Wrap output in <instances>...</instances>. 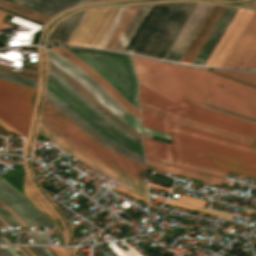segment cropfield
Instances as JSON below:
<instances>
[{
    "instance_id": "obj_34",
    "label": "crop field",
    "mask_w": 256,
    "mask_h": 256,
    "mask_svg": "<svg viewBox=\"0 0 256 256\" xmlns=\"http://www.w3.org/2000/svg\"><path fill=\"white\" fill-rule=\"evenodd\" d=\"M140 108L142 111H145L147 113H150V114H153V115H156V116H159V117H162V118H165L167 120H170V116L165 114V113H162L160 111H157V110H154L152 108H149L143 104L140 103ZM171 121V120H170Z\"/></svg>"
},
{
    "instance_id": "obj_49",
    "label": "crop field",
    "mask_w": 256,
    "mask_h": 256,
    "mask_svg": "<svg viewBox=\"0 0 256 256\" xmlns=\"http://www.w3.org/2000/svg\"><path fill=\"white\" fill-rule=\"evenodd\" d=\"M67 1H70V2L75 3V4L87 2L86 0H67Z\"/></svg>"
},
{
    "instance_id": "obj_37",
    "label": "crop field",
    "mask_w": 256,
    "mask_h": 256,
    "mask_svg": "<svg viewBox=\"0 0 256 256\" xmlns=\"http://www.w3.org/2000/svg\"><path fill=\"white\" fill-rule=\"evenodd\" d=\"M142 132L147 133V134H151V135H155V136L160 137V138H166V139H169V140L171 139L169 134H164L162 132L147 129V128H143V127H142Z\"/></svg>"
},
{
    "instance_id": "obj_36",
    "label": "crop field",
    "mask_w": 256,
    "mask_h": 256,
    "mask_svg": "<svg viewBox=\"0 0 256 256\" xmlns=\"http://www.w3.org/2000/svg\"><path fill=\"white\" fill-rule=\"evenodd\" d=\"M134 8V6H130L129 10L127 11L126 15L124 16L123 20L121 21L120 25L118 26V28L116 29L115 33L113 34L112 38L110 39L109 43L107 44L106 48H109V46L111 45L112 41L114 40V38L116 37L117 33L119 32V30L121 29L122 25L124 24V22L126 21L127 17L129 16V14L131 13L132 9Z\"/></svg>"
},
{
    "instance_id": "obj_29",
    "label": "crop field",
    "mask_w": 256,
    "mask_h": 256,
    "mask_svg": "<svg viewBox=\"0 0 256 256\" xmlns=\"http://www.w3.org/2000/svg\"><path fill=\"white\" fill-rule=\"evenodd\" d=\"M167 203L172 204V205H176V206H180V207H184V208H188V209H192V210H195V211L203 212V213H206V214L214 215V216L219 215V216H223V217L230 218V219L232 217L230 215L200 209V208H197V207H193V206H190V205L182 204V203L171 201V200H168Z\"/></svg>"
},
{
    "instance_id": "obj_45",
    "label": "crop field",
    "mask_w": 256,
    "mask_h": 256,
    "mask_svg": "<svg viewBox=\"0 0 256 256\" xmlns=\"http://www.w3.org/2000/svg\"><path fill=\"white\" fill-rule=\"evenodd\" d=\"M139 102H141V103H143V104H145V105H147V106H149V107H152V108H155V109H157V110H160V111H162V112H165V113H167V114H171L170 112H167V111H164V110H162V109H160V108H158V107H155V106H153V105H151V104H149V103H147V102H145V101H143V100H141V99H139Z\"/></svg>"
},
{
    "instance_id": "obj_58",
    "label": "crop field",
    "mask_w": 256,
    "mask_h": 256,
    "mask_svg": "<svg viewBox=\"0 0 256 256\" xmlns=\"http://www.w3.org/2000/svg\"><path fill=\"white\" fill-rule=\"evenodd\" d=\"M252 145H256V140L254 139L252 142H251Z\"/></svg>"
},
{
    "instance_id": "obj_1",
    "label": "crop field",
    "mask_w": 256,
    "mask_h": 256,
    "mask_svg": "<svg viewBox=\"0 0 256 256\" xmlns=\"http://www.w3.org/2000/svg\"><path fill=\"white\" fill-rule=\"evenodd\" d=\"M142 112V111H141ZM143 127L159 130L172 135L171 145L143 137L144 152L147 155L164 159H178L230 172L250 178H256V154L236 150L186 135L174 133L171 127L195 132L214 139L250 147L248 144L196 130L166 121L142 112Z\"/></svg>"
},
{
    "instance_id": "obj_60",
    "label": "crop field",
    "mask_w": 256,
    "mask_h": 256,
    "mask_svg": "<svg viewBox=\"0 0 256 256\" xmlns=\"http://www.w3.org/2000/svg\"><path fill=\"white\" fill-rule=\"evenodd\" d=\"M3 228L1 225H0V229Z\"/></svg>"
},
{
    "instance_id": "obj_62",
    "label": "crop field",
    "mask_w": 256,
    "mask_h": 256,
    "mask_svg": "<svg viewBox=\"0 0 256 256\" xmlns=\"http://www.w3.org/2000/svg\"><path fill=\"white\" fill-rule=\"evenodd\" d=\"M88 1H90V0H88Z\"/></svg>"
},
{
    "instance_id": "obj_31",
    "label": "crop field",
    "mask_w": 256,
    "mask_h": 256,
    "mask_svg": "<svg viewBox=\"0 0 256 256\" xmlns=\"http://www.w3.org/2000/svg\"><path fill=\"white\" fill-rule=\"evenodd\" d=\"M0 217L9 225L22 226L7 210L0 205Z\"/></svg>"
},
{
    "instance_id": "obj_28",
    "label": "crop field",
    "mask_w": 256,
    "mask_h": 256,
    "mask_svg": "<svg viewBox=\"0 0 256 256\" xmlns=\"http://www.w3.org/2000/svg\"><path fill=\"white\" fill-rule=\"evenodd\" d=\"M171 117H172V118L179 119V120H182V121H186V122H189V123H192V124H196V125H199V126H202V127H206V128L212 129V130H216V131H219V132H222V133H226V134H229V135H232V136H236V137H239V138H242V139H246V140L252 141V138H248V137L241 136V135H238V134H235V133H231V132H228V131H224V130H221V129H217V128H214V127H211V126H207V125H204V124H200V123L191 121V120H189V119H186V118H183V117H180V116H177V115H173V114H172Z\"/></svg>"
},
{
    "instance_id": "obj_30",
    "label": "crop field",
    "mask_w": 256,
    "mask_h": 256,
    "mask_svg": "<svg viewBox=\"0 0 256 256\" xmlns=\"http://www.w3.org/2000/svg\"><path fill=\"white\" fill-rule=\"evenodd\" d=\"M62 49V48H61ZM63 51H65L67 54H69L70 56L74 57L75 59H77L80 63H82L85 67H87L88 69H90L98 78H100L105 84H107L114 92H116L124 101H126L107 81H105L99 74H97L91 67H89L86 63H84L82 60H80L79 58H77L75 55H73L72 53H70L68 50L66 49H62ZM129 105H131L133 108H135L137 111H139V109H137L136 107H134L132 104H130L128 101H126ZM140 112V111H139Z\"/></svg>"
},
{
    "instance_id": "obj_9",
    "label": "crop field",
    "mask_w": 256,
    "mask_h": 256,
    "mask_svg": "<svg viewBox=\"0 0 256 256\" xmlns=\"http://www.w3.org/2000/svg\"><path fill=\"white\" fill-rule=\"evenodd\" d=\"M48 62L59 67L73 77L76 81L82 84L96 99H98L104 106H106L112 113H114L121 121L128 126L139 130L141 120L134 117L125 111L122 107L116 104L112 98L100 88L88 75L82 70L74 66L62 56L48 50ZM107 102L108 104L106 105Z\"/></svg>"
},
{
    "instance_id": "obj_55",
    "label": "crop field",
    "mask_w": 256,
    "mask_h": 256,
    "mask_svg": "<svg viewBox=\"0 0 256 256\" xmlns=\"http://www.w3.org/2000/svg\"><path fill=\"white\" fill-rule=\"evenodd\" d=\"M155 200H158V201H164V198H161V197H158V196H156V198H155Z\"/></svg>"
},
{
    "instance_id": "obj_38",
    "label": "crop field",
    "mask_w": 256,
    "mask_h": 256,
    "mask_svg": "<svg viewBox=\"0 0 256 256\" xmlns=\"http://www.w3.org/2000/svg\"><path fill=\"white\" fill-rule=\"evenodd\" d=\"M40 256H52L44 247L30 246Z\"/></svg>"
},
{
    "instance_id": "obj_47",
    "label": "crop field",
    "mask_w": 256,
    "mask_h": 256,
    "mask_svg": "<svg viewBox=\"0 0 256 256\" xmlns=\"http://www.w3.org/2000/svg\"><path fill=\"white\" fill-rule=\"evenodd\" d=\"M5 15H6V13H3V12L0 11V22L2 21V18H3ZM6 26H7L6 24L0 23V30H4Z\"/></svg>"
},
{
    "instance_id": "obj_44",
    "label": "crop field",
    "mask_w": 256,
    "mask_h": 256,
    "mask_svg": "<svg viewBox=\"0 0 256 256\" xmlns=\"http://www.w3.org/2000/svg\"><path fill=\"white\" fill-rule=\"evenodd\" d=\"M247 67H249V68H256V52L253 55V57L250 60V62L248 63Z\"/></svg>"
},
{
    "instance_id": "obj_27",
    "label": "crop field",
    "mask_w": 256,
    "mask_h": 256,
    "mask_svg": "<svg viewBox=\"0 0 256 256\" xmlns=\"http://www.w3.org/2000/svg\"><path fill=\"white\" fill-rule=\"evenodd\" d=\"M173 131L178 132V133H182V134H186V135H190V136H194V137H197V138H201V139H204V140H207V141H211V142H214V143L222 144V145H225V146L233 147V148H236V149H240V150L256 153L255 150H251V149L240 147V146H237V145H234V144H230V143L214 140V139H211V138H208V137H204V136H201V135H198V134H195V133L186 132V131H180V130H174V129H173Z\"/></svg>"
},
{
    "instance_id": "obj_59",
    "label": "crop field",
    "mask_w": 256,
    "mask_h": 256,
    "mask_svg": "<svg viewBox=\"0 0 256 256\" xmlns=\"http://www.w3.org/2000/svg\"><path fill=\"white\" fill-rule=\"evenodd\" d=\"M0 243H4V242L0 239Z\"/></svg>"
},
{
    "instance_id": "obj_15",
    "label": "crop field",
    "mask_w": 256,
    "mask_h": 256,
    "mask_svg": "<svg viewBox=\"0 0 256 256\" xmlns=\"http://www.w3.org/2000/svg\"><path fill=\"white\" fill-rule=\"evenodd\" d=\"M224 8L225 7L213 5L200 29L196 33L195 37L193 38L192 42L190 43L189 47L181 58V62L191 63L199 48L203 44L204 40L208 36L209 32L213 28L214 24L218 20L219 16L223 12ZM204 35L206 36L204 37Z\"/></svg>"
},
{
    "instance_id": "obj_13",
    "label": "crop field",
    "mask_w": 256,
    "mask_h": 256,
    "mask_svg": "<svg viewBox=\"0 0 256 256\" xmlns=\"http://www.w3.org/2000/svg\"><path fill=\"white\" fill-rule=\"evenodd\" d=\"M47 83L54 87L57 91L63 94L67 99H69L73 104H75L79 109H81L85 114H87L91 119H93L97 124H99L108 133L119 139L120 141L142 151V145L129 139L112 126H110L106 121H104L99 115H97L91 108H89L84 102H82L76 95H74L65 86L59 83L51 75L48 74ZM92 120V121H93ZM143 152V151H142Z\"/></svg>"
},
{
    "instance_id": "obj_16",
    "label": "crop field",
    "mask_w": 256,
    "mask_h": 256,
    "mask_svg": "<svg viewBox=\"0 0 256 256\" xmlns=\"http://www.w3.org/2000/svg\"><path fill=\"white\" fill-rule=\"evenodd\" d=\"M235 11L236 9L225 8L224 12L222 13L216 25L212 29L205 43L203 44L197 56L193 60L192 65H202L210 50L212 49L217 39L221 35L222 32L220 29L224 30V28L228 24L229 20L231 19Z\"/></svg>"
},
{
    "instance_id": "obj_53",
    "label": "crop field",
    "mask_w": 256,
    "mask_h": 256,
    "mask_svg": "<svg viewBox=\"0 0 256 256\" xmlns=\"http://www.w3.org/2000/svg\"><path fill=\"white\" fill-rule=\"evenodd\" d=\"M171 160H173V159H171ZM174 161H177V160H174ZM180 162H182V161H180ZM186 163H188V162H186ZM190 164H193V163H190ZM194 165H197V164H194ZM197 166H200V165H197ZM201 167H204V166H201ZM204 168H207V167H204ZM208 169H211V168H208ZM211 170H214V169H211ZM214 171H218V170H214ZM218 172H221V171H218ZM221 173H225V172H221Z\"/></svg>"
},
{
    "instance_id": "obj_57",
    "label": "crop field",
    "mask_w": 256,
    "mask_h": 256,
    "mask_svg": "<svg viewBox=\"0 0 256 256\" xmlns=\"http://www.w3.org/2000/svg\"><path fill=\"white\" fill-rule=\"evenodd\" d=\"M250 4H252L251 6H255L256 7V1H254V2H252ZM250 4H247V5H250Z\"/></svg>"
},
{
    "instance_id": "obj_20",
    "label": "crop field",
    "mask_w": 256,
    "mask_h": 256,
    "mask_svg": "<svg viewBox=\"0 0 256 256\" xmlns=\"http://www.w3.org/2000/svg\"><path fill=\"white\" fill-rule=\"evenodd\" d=\"M146 164L150 165L152 167H156V168H160V169H164V170L173 172V173L178 174V175L193 178V179H196V180H200V181L211 183V184L218 185V186H220V184L222 182V179H218V178L206 176V175H203V174L191 172V171H188V170H184V169H180V168H176V167L156 163V162H153V161H150V160H147V159H146Z\"/></svg>"
},
{
    "instance_id": "obj_46",
    "label": "crop field",
    "mask_w": 256,
    "mask_h": 256,
    "mask_svg": "<svg viewBox=\"0 0 256 256\" xmlns=\"http://www.w3.org/2000/svg\"><path fill=\"white\" fill-rule=\"evenodd\" d=\"M60 256H66V251L63 248L52 247Z\"/></svg>"
},
{
    "instance_id": "obj_14",
    "label": "crop field",
    "mask_w": 256,
    "mask_h": 256,
    "mask_svg": "<svg viewBox=\"0 0 256 256\" xmlns=\"http://www.w3.org/2000/svg\"><path fill=\"white\" fill-rule=\"evenodd\" d=\"M133 63L136 75L138 77L139 82L143 83L150 89L154 90L164 98L176 102L180 96L184 95L178 90L174 89L168 83H166L163 79H161L158 75L152 72L147 66H145L138 58L133 57ZM153 91V92H154ZM186 96V95H184ZM188 97V96H186ZM190 98V97H188ZM192 99V98H190ZM194 100V99H192ZM196 101V100H194ZM198 102V101H196ZM201 103V102H198ZM203 104V103H202Z\"/></svg>"
},
{
    "instance_id": "obj_61",
    "label": "crop field",
    "mask_w": 256,
    "mask_h": 256,
    "mask_svg": "<svg viewBox=\"0 0 256 256\" xmlns=\"http://www.w3.org/2000/svg\"><path fill=\"white\" fill-rule=\"evenodd\" d=\"M1 225H3L2 223H0Z\"/></svg>"
},
{
    "instance_id": "obj_5",
    "label": "crop field",
    "mask_w": 256,
    "mask_h": 256,
    "mask_svg": "<svg viewBox=\"0 0 256 256\" xmlns=\"http://www.w3.org/2000/svg\"><path fill=\"white\" fill-rule=\"evenodd\" d=\"M106 79L125 99L138 107L137 78L131 58L108 52L68 49Z\"/></svg>"
},
{
    "instance_id": "obj_48",
    "label": "crop field",
    "mask_w": 256,
    "mask_h": 256,
    "mask_svg": "<svg viewBox=\"0 0 256 256\" xmlns=\"http://www.w3.org/2000/svg\"><path fill=\"white\" fill-rule=\"evenodd\" d=\"M0 204L4 207V208H6L1 202H0ZM16 219H18L23 225H26L23 221H21L14 213H12L8 208H6Z\"/></svg>"
},
{
    "instance_id": "obj_43",
    "label": "crop field",
    "mask_w": 256,
    "mask_h": 256,
    "mask_svg": "<svg viewBox=\"0 0 256 256\" xmlns=\"http://www.w3.org/2000/svg\"><path fill=\"white\" fill-rule=\"evenodd\" d=\"M145 157L147 159H150V160H153V161H156V162H160V163H164V164L170 165V161H168V160L159 159V158H155V157H151V156H147V155H145Z\"/></svg>"
},
{
    "instance_id": "obj_6",
    "label": "crop field",
    "mask_w": 256,
    "mask_h": 256,
    "mask_svg": "<svg viewBox=\"0 0 256 256\" xmlns=\"http://www.w3.org/2000/svg\"><path fill=\"white\" fill-rule=\"evenodd\" d=\"M139 97L173 114L256 139V124L208 111L183 98L174 104L141 83Z\"/></svg>"
},
{
    "instance_id": "obj_19",
    "label": "crop field",
    "mask_w": 256,
    "mask_h": 256,
    "mask_svg": "<svg viewBox=\"0 0 256 256\" xmlns=\"http://www.w3.org/2000/svg\"><path fill=\"white\" fill-rule=\"evenodd\" d=\"M62 56H64L66 59L71 61L73 64H75L77 67L83 69L99 86H101L116 102H118L119 105H121L124 109H126L128 112L131 114L135 115L138 117V113L135 109H133L131 106H129L126 102H124L117 94H115L107 85H105L100 79H98L90 70L85 68L82 64H80L77 60L74 58L70 57L66 53H64L62 50L59 48H49Z\"/></svg>"
},
{
    "instance_id": "obj_11",
    "label": "crop field",
    "mask_w": 256,
    "mask_h": 256,
    "mask_svg": "<svg viewBox=\"0 0 256 256\" xmlns=\"http://www.w3.org/2000/svg\"><path fill=\"white\" fill-rule=\"evenodd\" d=\"M255 51L256 12H254L222 66L246 67ZM241 62L244 64L242 65Z\"/></svg>"
},
{
    "instance_id": "obj_32",
    "label": "crop field",
    "mask_w": 256,
    "mask_h": 256,
    "mask_svg": "<svg viewBox=\"0 0 256 256\" xmlns=\"http://www.w3.org/2000/svg\"><path fill=\"white\" fill-rule=\"evenodd\" d=\"M172 121L176 122V123H180V124L186 125V126H190V127L201 129V130H205V131H208V132H211V133H214V134H218V135H221V136H224V137L236 139V140H239V141H242V142L250 144V141H246V140H242V139H239V138H235V137H232V136H229V135H225V134H222V133H219V132H215V131H212V130H209V129H205V128H202V127H199V126H195V125H192V124H189V123H185V122H182V121H179V120L172 119Z\"/></svg>"
},
{
    "instance_id": "obj_8",
    "label": "crop field",
    "mask_w": 256,
    "mask_h": 256,
    "mask_svg": "<svg viewBox=\"0 0 256 256\" xmlns=\"http://www.w3.org/2000/svg\"><path fill=\"white\" fill-rule=\"evenodd\" d=\"M35 89L0 79V118L26 135Z\"/></svg>"
},
{
    "instance_id": "obj_50",
    "label": "crop field",
    "mask_w": 256,
    "mask_h": 256,
    "mask_svg": "<svg viewBox=\"0 0 256 256\" xmlns=\"http://www.w3.org/2000/svg\"><path fill=\"white\" fill-rule=\"evenodd\" d=\"M26 256H31L22 246H17Z\"/></svg>"
},
{
    "instance_id": "obj_35",
    "label": "crop field",
    "mask_w": 256,
    "mask_h": 256,
    "mask_svg": "<svg viewBox=\"0 0 256 256\" xmlns=\"http://www.w3.org/2000/svg\"><path fill=\"white\" fill-rule=\"evenodd\" d=\"M178 200L194 203L201 206H203L205 203V200H201V199H197V198H193V197H189L181 194L179 195Z\"/></svg>"
},
{
    "instance_id": "obj_10",
    "label": "crop field",
    "mask_w": 256,
    "mask_h": 256,
    "mask_svg": "<svg viewBox=\"0 0 256 256\" xmlns=\"http://www.w3.org/2000/svg\"><path fill=\"white\" fill-rule=\"evenodd\" d=\"M252 14L253 11L238 9L205 64H222Z\"/></svg>"
},
{
    "instance_id": "obj_7",
    "label": "crop field",
    "mask_w": 256,
    "mask_h": 256,
    "mask_svg": "<svg viewBox=\"0 0 256 256\" xmlns=\"http://www.w3.org/2000/svg\"><path fill=\"white\" fill-rule=\"evenodd\" d=\"M115 8H98L87 9L77 12L59 22L56 27L50 33L47 43L63 44L67 43H81L88 45H95L96 41L100 37L104 28L108 24L112 15L116 11Z\"/></svg>"
},
{
    "instance_id": "obj_25",
    "label": "crop field",
    "mask_w": 256,
    "mask_h": 256,
    "mask_svg": "<svg viewBox=\"0 0 256 256\" xmlns=\"http://www.w3.org/2000/svg\"><path fill=\"white\" fill-rule=\"evenodd\" d=\"M29 2L31 4L37 5L39 7L45 8L47 10L53 11L55 13L66 9L70 6H74L72 4L66 3L61 0H23Z\"/></svg>"
},
{
    "instance_id": "obj_56",
    "label": "crop field",
    "mask_w": 256,
    "mask_h": 256,
    "mask_svg": "<svg viewBox=\"0 0 256 256\" xmlns=\"http://www.w3.org/2000/svg\"><path fill=\"white\" fill-rule=\"evenodd\" d=\"M32 256H35L28 248H26L25 246H23Z\"/></svg>"
},
{
    "instance_id": "obj_40",
    "label": "crop field",
    "mask_w": 256,
    "mask_h": 256,
    "mask_svg": "<svg viewBox=\"0 0 256 256\" xmlns=\"http://www.w3.org/2000/svg\"><path fill=\"white\" fill-rule=\"evenodd\" d=\"M10 256H20L11 246H1Z\"/></svg>"
},
{
    "instance_id": "obj_2",
    "label": "crop field",
    "mask_w": 256,
    "mask_h": 256,
    "mask_svg": "<svg viewBox=\"0 0 256 256\" xmlns=\"http://www.w3.org/2000/svg\"><path fill=\"white\" fill-rule=\"evenodd\" d=\"M140 60L182 93L203 103L256 119L255 88L200 69Z\"/></svg>"
},
{
    "instance_id": "obj_26",
    "label": "crop field",
    "mask_w": 256,
    "mask_h": 256,
    "mask_svg": "<svg viewBox=\"0 0 256 256\" xmlns=\"http://www.w3.org/2000/svg\"><path fill=\"white\" fill-rule=\"evenodd\" d=\"M214 71L222 73L229 77L256 85V73L254 72L240 71L238 74H236L237 71H217V70H214Z\"/></svg>"
},
{
    "instance_id": "obj_18",
    "label": "crop field",
    "mask_w": 256,
    "mask_h": 256,
    "mask_svg": "<svg viewBox=\"0 0 256 256\" xmlns=\"http://www.w3.org/2000/svg\"><path fill=\"white\" fill-rule=\"evenodd\" d=\"M24 197L30 201L42 214H44L62 233L63 230L58 226V219L42 198L37 194L31 184L28 182L26 175L22 180Z\"/></svg>"
},
{
    "instance_id": "obj_4",
    "label": "crop field",
    "mask_w": 256,
    "mask_h": 256,
    "mask_svg": "<svg viewBox=\"0 0 256 256\" xmlns=\"http://www.w3.org/2000/svg\"><path fill=\"white\" fill-rule=\"evenodd\" d=\"M41 116L87 152L140 179L139 172L145 170L143 165L109 149L95 140L46 100L44 101Z\"/></svg>"
},
{
    "instance_id": "obj_23",
    "label": "crop field",
    "mask_w": 256,
    "mask_h": 256,
    "mask_svg": "<svg viewBox=\"0 0 256 256\" xmlns=\"http://www.w3.org/2000/svg\"><path fill=\"white\" fill-rule=\"evenodd\" d=\"M0 7L11 12L17 13L19 15L25 16L27 18L33 19L35 21L41 22L43 24H45L46 21L50 18L48 16L42 15L40 13L34 12L32 10L26 9L24 7L18 6L5 0H0Z\"/></svg>"
},
{
    "instance_id": "obj_41",
    "label": "crop field",
    "mask_w": 256,
    "mask_h": 256,
    "mask_svg": "<svg viewBox=\"0 0 256 256\" xmlns=\"http://www.w3.org/2000/svg\"><path fill=\"white\" fill-rule=\"evenodd\" d=\"M112 188H114V189H116V190H119V191H121V192H124V193H126V194H129V195H131V196H133V197H135V198H137V199H140V200H143V201H146L147 202V200L146 199H144V198H142V197H139V196H137V195H135V194H132V193H130V192H128V191H126V190H123V189H121V188H119V187H112Z\"/></svg>"
},
{
    "instance_id": "obj_33",
    "label": "crop field",
    "mask_w": 256,
    "mask_h": 256,
    "mask_svg": "<svg viewBox=\"0 0 256 256\" xmlns=\"http://www.w3.org/2000/svg\"><path fill=\"white\" fill-rule=\"evenodd\" d=\"M171 164L178 165V166H183V167H187V168H191V169H195V170H199V171H203V172H207V173H211V174H215V175H219V176L225 177V174H221V173H218V172H214V171L207 170V169H204V168H201V167H197V166H194V165H190V164L173 162V161H171Z\"/></svg>"
},
{
    "instance_id": "obj_12",
    "label": "crop field",
    "mask_w": 256,
    "mask_h": 256,
    "mask_svg": "<svg viewBox=\"0 0 256 256\" xmlns=\"http://www.w3.org/2000/svg\"><path fill=\"white\" fill-rule=\"evenodd\" d=\"M212 5L198 3L164 59L178 62Z\"/></svg>"
},
{
    "instance_id": "obj_24",
    "label": "crop field",
    "mask_w": 256,
    "mask_h": 256,
    "mask_svg": "<svg viewBox=\"0 0 256 256\" xmlns=\"http://www.w3.org/2000/svg\"><path fill=\"white\" fill-rule=\"evenodd\" d=\"M40 122L43 123L47 128H49V129H50L52 132H54L56 135H59V136H60L62 139H64L66 142H68L69 144H71L72 146H74L76 149H78L79 151H81L82 153H84L86 156H88L89 158L93 159L94 161H96V162H98V163H100V164H102V165H104V166H106V167H108V168H110V169H112V170H114V171H116V172H118V173H120V174H122V175H124V176H126V177H128V178H130V179H132V180H134V181H136V182H139V183L144 184V185L147 186V182H146V181H142V180L136 179V178H134V177H132V176H130V175H128V174H126V173H124V172H122V171H120V170H118V169H116V168H114V167H112V166L106 164L105 162H103V161H101L100 159H98V158L92 156L91 154L87 153V152L84 151L82 148H80L78 145H76L75 143H73L72 141H70L69 139H67L64 135H62V134H61L60 132H58L56 129H54V128H53L48 122H46L42 117L40 118Z\"/></svg>"
},
{
    "instance_id": "obj_22",
    "label": "crop field",
    "mask_w": 256,
    "mask_h": 256,
    "mask_svg": "<svg viewBox=\"0 0 256 256\" xmlns=\"http://www.w3.org/2000/svg\"><path fill=\"white\" fill-rule=\"evenodd\" d=\"M128 7H118L117 11L113 15L112 19L110 20L109 24L105 28L104 32L102 33L101 37L97 41L96 45L106 46L107 42L109 41L110 37L114 33L115 29L117 28L118 24L120 23L121 19L125 15Z\"/></svg>"
},
{
    "instance_id": "obj_3",
    "label": "crop field",
    "mask_w": 256,
    "mask_h": 256,
    "mask_svg": "<svg viewBox=\"0 0 256 256\" xmlns=\"http://www.w3.org/2000/svg\"><path fill=\"white\" fill-rule=\"evenodd\" d=\"M196 3L148 4L135 6L112 48L163 58Z\"/></svg>"
},
{
    "instance_id": "obj_21",
    "label": "crop field",
    "mask_w": 256,
    "mask_h": 256,
    "mask_svg": "<svg viewBox=\"0 0 256 256\" xmlns=\"http://www.w3.org/2000/svg\"><path fill=\"white\" fill-rule=\"evenodd\" d=\"M46 89L49 90L51 93H53L56 97H58L61 101H63L66 105H68L72 110H74L77 114H79L82 118H84L88 123H90L93 127H95L97 130H99L101 133H103L105 136L116 142L117 144L132 150L140 155L143 156V153L123 144L110 134H108L106 131H104L100 126H98L94 121H92L87 115H85L81 110H79L75 105H73L69 100H67L63 95H61L59 92H57L54 88H52L50 85L47 84Z\"/></svg>"
},
{
    "instance_id": "obj_42",
    "label": "crop field",
    "mask_w": 256,
    "mask_h": 256,
    "mask_svg": "<svg viewBox=\"0 0 256 256\" xmlns=\"http://www.w3.org/2000/svg\"><path fill=\"white\" fill-rule=\"evenodd\" d=\"M0 125L5 128L6 130H8L9 132H13V133H18L16 130H14L12 127H10L8 124H6L4 121H2L0 119ZM20 134V133H18Z\"/></svg>"
},
{
    "instance_id": "obj_51",
    "label": "crop field",
    "mask_w": 256,
    "mask_h": 256,
    "mask_svg": "<svg viewBox=\"0 0 256 256\" xmlns=\"http://www.w3.org/2000/svg\"><path fill=\"white\" fill-rule=\"evenodd\" d=\"M149 185H150V186H154V187H158V188H162V189L169 190V188H166V187H163V186H159V185H156V184H153V183H150V182H149Z\"/></svg>"
},
{
    "instance_id": "obj_52",
    "label": "crop field",
    "mask_w": 256,
    "mask_h": 256,
    "mask_svg": "<svg viewBox=\"0 0 256 256\" xmlns=\"http://www.w3.org/2000/svg\"><path fill=\"white\" fill-rule=\"evenodd\" d=\"M0 256H9V255L0 247Z\"/></svg>"
},
{
    "instance_id": "obj_54",
    "label": "crop field",
    "mask_w": 256,
    "mask_h": 256,
    "mask_svg": "<svg viewBox=\"0 0 256 256\" xmlns=\"http://www.w3.org/2000/svg\"><path fill=\"white\" fill-rule=\"evenodd\" d=\"M206 105V104H205ZM209 106V105H208ZM212 107V106H211ZM215 108V107H214ZM216 109H218V108H216ZM219 110H221V109H219ZM222 111H224V110H222ZM225 112H227V111H225ZM228 113H231V112H228ZM231 114H234V113H231ZM234 115H237V114H234ZM238 116H241V115H238ZM241 117H244V116H241ZM244 118H247V117H244ZM248 119H251V118H248ZM251 120H254V119H251ZM256 121V120H255Z\"/></svg>"
},
{
    "instance_id": "obj_39",
    "label": "crop field",
    "mask_w": 256,
    "mask_h": 256,
    "mask_svg": "<svg viewBox=\"0 0 256 256\" xmlns=\"http://www.w3.org/2000/svg\"><path fill=\"white\" fill-rule=\"evenodd\" d=\"M185 99H187V100H189V101H191V102H193V103H195V104H197V105H199V106H202V107H204V108H206V109H208V110L215 111V112H218V113H221V114H225V115H228V116H232V117H235V118H239V119H242V120H246V121H249V122H252V123H256V122L251 121V120H247V119H244V118H240V117H237V116H233V115H230V114H227V113H224V112H221V111L212 109V108H210V107H207V106L198 104V103H196V102H194V101H192V100H190V99H188V98H185Z\"/></svg>"
},
{
    "instance_id": "obj_17",
    "label": "crop field",
    "mask_w": 256,
    "mask_h": 256,
    "mask_svg": "<svg viewBox=\"0 0 256 256\" xmlns=\"http://www.w3.org/2000/svg\"><path fill=\"white\" fill-rule=\"evenodd\" d=\"M48 68L56 72L58 75L66 79L71 85H73L82 95H84L92 104H94L100 111H102L108 118H110L113 122L127 130L132 135L136 136L137 138L141 139V134L138 131H135L122 123L114 114H112L107 108H105L99 101H97L83 86H81L78 82H76L73 78H71L68 74L64 71L60 70L59 68L53 66L52 64L48 63ZM120 127V128H121ZM123 129V130H124Z\"/></svg>"
}]
</instances>
